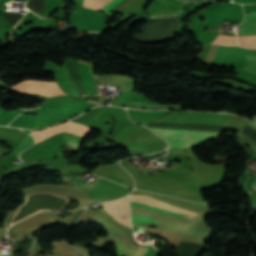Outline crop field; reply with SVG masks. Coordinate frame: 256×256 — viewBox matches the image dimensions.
<instances>
[{"label": "crop field", "mask_w": 256, "mask_h": 256, "mask_svg": "<svg viewBox=\"0 0 256 256\" xmlns=\"http://www.w3.org/2000/svg\"><path fill=\"white\" fill-rule=\"evenodd\" d=\"M232 117L233 115L228 114L174 111L156 121L226 126ZM150 128L166 139L168 141V146L175 148L193 147L203 140L215 137L219 133L212 131Z\"/></svg>", "instance_id": "crop-field-1"}, {"label": "crop field", "mask_w": 256, "mask_h": 256, "mask_svg": "<svg viewBox=\"0 0 256 256\" xmlns=\"http://www.w3.org/2000/svg\"><path fill=\"white\" fill-rule=\"evenodd\" d=\"M105 107L106 106L93 108L90 111L86 112L85 114L70 121L87 125ZM70 121L60 125L50 127L46 130L31 131L30 134H32L33 137H35V143H36L54 133L64 132L63 144H67L69 146L79 148L82 138L90 132V128L84 125L72 123ZM59 149H60V146L55 147L33 160L53 159L54 157L57 156Z\"/></svg>", "instance_id": "crop-field-2"}, {"label": "crop field", "mask_w": 256, "mask_h": 256, "mask_svg": "<svg viewBox=\"0 0 256 256\" xmlns=\"http://www.w3.org/2000/svg\"><path fill=\"white\" fill-rule=\"evenodd\" d=\"M212 44L237 45L236 38L218 35ZM255 55L245 48L220 46L212 63L234 61L238 56ZM242 70L256 74V56H246Z\"/></svg>", "instance_id": "crop-field-3"}, {"label": "crop field", "mask_w": 256, "mask_h": 256, "mask_svg": "<svg viewBox=\"0 0 256 256\" xmlns=\"http://www.w3.org/2000/svg\"><path fill=\"white\" fill-rule=\"evenodd\" d=\"M11 88L14 90L23 91V92H36L44 96H53V95L62 94L56 82L28 80V81L20 82L12 86Z\"/></svg>", "instance_id": "crop-field-4"}, {"label": "crop field", "mask_w": 256, "mask_h": 256, "mask_svg": "<svg viewBox=\"0 0 256 256\" xmlns=\"http://www.w3.org/2000/svg\"><path fill=\"white\" fill-rule=\"evenodd\" d=\"M182 1L178 0H153L148 6L147 13L152 17H174L182 6Z\"/></svg>", "instance_id": "crop-field-5"}, {"label": "crop field", "mask_w": 256, "mask_h": 256, "mask_svg": "<svg viewBox=\"0 0 256 256\" xmlns=\"http://www.w3.org/2000/svg\"><path fill=\"white\" fill-rule=\"evenodd\" d=\"M241 35H256V12L245 13ZM240 46L256 48V36L237 37Z\"/></svg>", "instance_id": "crop-field-6"}, {"label": "crop field", "mask_w": 256, "mask_h": 256, "mask_svg": "<svg viewBox=\"0 0 256 256\" xmlns=\"http://www.w3.org/2000/svg\"><path fill=\"white\" fill-rule=\"evenodd\" d=\"M90 102H94V101H90ZM96 103H98V102H96ZM91 104H93V103L84 102V103H82V104H79V105H77V106H74V107H72V108H69V109H67V110H64V111H62V112H59V113H56V114H54V115H51V116L42 118V119H40V120H37L36 123H35V125H39V124H42V123H44V122H46V121H49V120H52V119L61 117V116L65 115V114H68V113H70V112L76 111V110H78V109H80V108H83V107L88 106V105H91ZM95 105H97V104H94V105L85 107V108H83V109H81V110H78V111L73 112V113H71V114L65 115V116H63V117H61V118H58V119L49 121V122H47V123H45V124H43V125L33 126V128H40V127H43V126L51 125L52 123H56V122H59V121L68 119V118H70V117H72V116H74V115H76V114H78V113H81V112H83V111H85V110H87V109H89L90 107L95 106Z\"/></svg>", "instance_id": "crop-field-7"}, {"label": "crop field", "mask_w": 256, "mask_h": 256, "mask_svg": "<svg viewBox=\"0 0 256 256\" xmlns=\"http://www.w3.org/2000/svg\"><path fill=\"white\" fill-rule=\"evenodd\" d=\"M117 253L130 256H154L157 251L153 248H145L130 244L116 243Z\"/></svg>", "instance_id": "crop-field-8"}, {"label": "crop field", "mask_w": 256, "mask_h": 256, "mask_svg": "<svg viewBox=\"0 0 256 256\" xmlns=\"http://www.w3.org/2000/svg\"><path fill=\"white\" fill-rule=\"evenodd\" d=\"M130 204L140 206V207H144V208H148V209H152V210H156V211H160V212L170 214V215L179 216V217L187 218L189 216V215H185V214H182V213L174 212V211L163 209V208H158V207H153V206H148V205H143V204H137V203H132V202H130ZM190 217H192V216H190ZM131 220H132V224L156 223L157 221H159L158 219L149 218V217H145V216H140V215H136V214H132V213H131Z\"/></svg>", "instance_id": "crop-field-9"}, {"label": "crop field", "mask_w": 256, "mask_h": 256, "mask_svg": "<svg viewBox=\"0 0 256 256\" xmlns=\"http://www.w3.org/2000/svg\"><path fill=\"white\" fill-rule=\"evenodd\" d=\"M107 0H84L83 6L98 9L101 5H103ZM122 0H108L103 6H101L98 10L111 15L109 12L112 8H114L118 3Z\"/></svg>", "instance_id": "crop-field-10"}, {"label": "crop field", "mask_w": 256, "mask_h": 256, "mask_svg": "<svg viewBox=\"0 0 256 256\" xmlns=\"http://www.w3.org/2000/svg\"><path fill=\"white\" fill-rule=\"evenodd\" d=\"M33 139L30 135H27V137L14 149V153L18 155L21 151H23L28 146L32 145Z\"/></svg>", "instance_id": "crop-field-11"}, {"label": "crop field", "mask_w": 256, "mask_h": 256, "mask_svg": "<svg viewBox=\"0 0 256 256\" xmlns=\"http://www.w3.org/2000/svg\"><path fill=\"white\" fill-rule=\"evenodd\" d=\"M253 120L256 122V116H253Z\"/></svg>", "instance_id": "crop-field-12"}, {"label": "crop field", "mask_w": 256, "mask_h": 256, "mask_svg": "<svg viewBox=\"0 0 256 256\" xmlns=\"http://www.w3.org/2000/svg\"><path fill=\"white\" fill-rule=\"evenodd\" d=\"M2 1H4V0H0V2H2Z\"/></svg>", "instance_id": "crop-field-13"}, {"label": "crop field", "mask_w": 256, "mask_h": 256, "mask_svg": "<svg viewBox=\"0 0 256 256\" xmlns=\"http://www.w3.org/2000/svg\"><path fill=\"white\" fill-rule=\"evenodd\" d=\"M10 256V255H9Z\"/></svg>", "instance_id": "crop-field-14"}]
</instances>
